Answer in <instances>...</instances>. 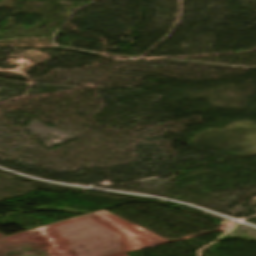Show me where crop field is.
<instances>
[{"instance_id":"2","label":"crop field","mask_w":256,"mask_h":256,"mask_svg":"<svg viewBox=\"0 0 256 256\" xmlns=\"http://www.w3.org/2000/svg\"><path fill=\"white\" fill-rule=\"evenodd\" d=\"M2 236H4V235L0 234V237H2Z\"/></svg>"},{"instance_id":"1","label":"crop field","mask_w":256,"mask_h":256,"mask_svg":"<svg viewBox=\"0 0 256 256\" xmlns=\"http://www.w3.org/2000/svg\"><path fill=\"white\" fill-rule=\"evenodd\" d=\"M120 256H127L126 254H124V255H120Z\"/></svg>"}]
</instances>
